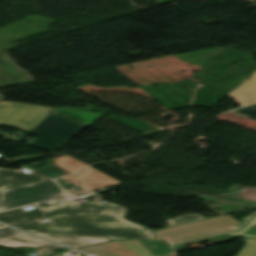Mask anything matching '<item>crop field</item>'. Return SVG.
I'll return each instance as SVG.
<instances>
[{
    "label": "crop field",
    "instance_id": "34b2d1b8",
    "mask_svg": "<svg viewBox=\"0 0 256 256\" xmlns=\"http://www.w3.org/2000/svg\"><path fill=\"white\" fill-rule=\"evenodd\" d=\"M99 256H161L173 253L167 241L122 240L78 249Z\"/></svg>",
    "mask_w": 256,
    "mask_h": 256
},
{
    "label": "crop field",
    "instance_id": "92a150f3",
    "mask_svg": "<svg viewBox=\"0 0 256 256\" xmlns=\"http://www.w3.org/2000/svg\"><path fill=\"white\" fill-rule=\"evenodd\" d=\"M170 1H174V0H157L158 5L170 2Z\"/></svg>",
    "mask_w": 256,
    "mask_h": 256
},
{
    "label": "crop field",
    "instance_id": "214f88e0",
    "mask_svg": "<svg viewBox=\"0 0 256 256\" xmlns=\"http://www.w3.org/2000/svg\"><path fill=\"white\" fill-rule=\"evenodd\" d=\"M43 162L46 163L47 166L53 163L52 159L46 160V161H43ZM26 167H28V168H30V169H33V170H36V169H37V168H34V167H30V166H26ZM42 168H43V167H42ZM39 169H40V168H39Z\"/></svg>",
    "mask_w": 256,
    "mask_h": 256
},
{
    "label": "crop field",
    "instance_id": "3316defc",
    "mask_svg": "<svg viewBox=\"0 0 256 256\" xmlns=\"http://www.w3.org/2000/svg\"><path fill=\"white\" fill-rule=\"evenodd\" d=\"M37 235L53 240L55 242L61 243L68 247L75 248V249L105 242V241H110L105 237L66 236V235L47 234V233H37Z\"/></svg>",
    "mask_w": 256,
    "mask_h": 256
},
{
    "label": "crop field",
    "instance_id": "e52e79f7",
    "mask_svg": "<svg viewBox=\"0 0 256 256\" xmlns=\"http://www.w3.org/2000/svg\"><path fill=\"white\" fill-rule=\"evenodd\" d=\"M62 178L70 179L72 181L80 180L82 182L79 186H66L63 187L66 189L71 195L92 191L99 188L120 184V182L92 169L91 167L88 168L86 171L81 173L80 175L75 176H64ZM75 187V188H73Z\"/></svg>",
    "mask_w": 256,
    "mask_h": 256
},
{
    "label": "crop field",
    "instance_id": "412701ff",
    "mask_svg": "<svg viewBox=\"0 0 256 256\" xmlns=\"http://www.w3.org/2000/svg\"><path fill=\"white\" fill-rule=\"evenodd\" d=\"M66 195L54 181L46 180L14 189L2 191L0 210L36 203L42 200Z\"/></svg>",
    "mask_w": 256,
    "mask_h": 256
},
{
    "label": "crop field",
    "instance_id": "dafd665d",
    "mask_svg": "<svg viewBox=\"0 0 256 256\" xmlns=\"http://www.w3.org/2000/svg\"><path fill=\"white\" fill-rule=\"evenodd\" d=\"M93 195L95 196V198L97 199L98 202H102L98 195H95V194H93Z\"/></svg>",
    "mask_w": 256,
    "mask_h": 256
},
{
    "label": "crop field",
    "instance_id": "733c2abd",
    "mask_svg": "<svg viewBox=\"0 0 256 256\" xmlns=\"http://www.w3.org/2000/svg\"><path fill=\"white\" fill-rule=\"evenodd\" d=\"M237 256H256V240L246 239V245Z\"/></svg>",
    "mask_w": 256,
    "mask_h": 256
},
{
    "label": "crop field",
    "instance_id": "22f410ed",
    "mask_svg": "<svg viewBox=\"0 0 256 256\" xmlns=\"http://www.w3.org/2000/svg\"><path fill=\"white\" fill-rule=\"evenodd\" d=\"M44 218L40 209H32L24 211L22 208L0 213V221L8 224L19 221Z\"/></svg>",
    "mask_w": 256,
    "mask_h": 256
},
{
    "label": "crop field",
    "instance_id": "bc2a9ffb",
    "mask_svg": "<svg viewBox=\"0 0 256 256\" xmlns=\"http://www.w3.org/2000/svg\"><path fill=\"white\" fill-rule=\"evenodd\" d=\"M66 179H62V178H58V179H56V182L60 185V186H66V185H72L73 183H75V182H72V183H66Z\"/></svg>",
    "mask_w": 256,
    "mask_h": 256
},
{
    "label": "crop field",
    "instance_id": "cbeb9de0",
    "mask_svg": "<svg viewBox=\"0 0 256 256\" xmlns=\"http://www.w3.org/2000/svg\"><path fill=\"white\" fill-rule=\"evenodd\" d=\"M229 235L241 238L256 239V214L239 230Z\"/></svg>",
    "mask_w": 256,
    "mask_h": 256
},
{
    "label": "crop field",
    "instance_id": "dd49c442",
    "mask_svg": "<svg viewBox=\"0 0 256 256\" xmlns=\"http://www.w3.org/2000/svg\"><path fill=\"white\" fill-rule=\"evenodd\" d=\"M54 109L5 101L0 103V126L6 124L31 131Z\"/></svg>",
    "mask_w": 256,
    "mask_h": 256
},
{
    "label": "crop field",
    "instance_id": "ac0d7876",
    "mask_svg": "<svg viewBox=\"0 0 256 256\" xmlns=\"http://www.w3.org/2000/svg\"><path fill=\"white\" fill-rule=\"evenodd\" d=\"M239 223L229 214L212 217L154 232L155 240H167L169 245L232 231Z\"/></svg>",
    "mask_w": 256,
    "mask_h": 256
},
{
    "label": "crop field",
    "instance_id": "4a817a6b",
    "mask_svg": "<svg viewBox=\"0 0 256 256\" xmlns=\"http://www.w3.org/2000/svg\"><path fill=\"white\" fill-rule=\"evenodd\" d=\"M231 113L238 114V115L256 120V105L246 107L243 109H239V110H235Z\"/></svg>",
    "mask_w": 256,
    "mask_h": 256
},
{
    "label": "crop field",
    "instance_id": "d8731c3e",
    "mask_svg": "<svg viewBox=\"0 0 256 256\" xmlns=\"http://www.w3.org/2000/svg\"><path fill=\"white\" fill-rule=\"evenodd\" d=\"M0 245L18 247V246H53L54 244L24 234L17 230L11 229L6 226L0 227Z\"/></svg>",
    "mask_w": 256,
    "mask_h": 256
},
{
    "label": "crop field",
    "instance_id": "00972430",
    "mask_svg": "<svg viewBox=\"0 0 256 256\" xmlns=\"http://www.w3.org/2000/svg\"><path fill=\"white\" fill-rule=\"evenodd\" d=\"M53 207H56V206H53ZM53 207H49V208H53ZM44 209H48V208H41V210H44ZM46 218V217H45Z\"/></svg>",
    "mask_w": 256,
    "mask_h": 256
},
{
    "label": "crop field",
    "instance_id": "5142ce71",
    "mask_svg": "<svg viewBox=\"0 0 256 256\" xmlns=\"http://www.w3.org/2000/svg\"><path fill=\"white\" fill-rule=\"evenodd\" d=\"M218 119L226 120V121H229V122H232V123H235V124H238V125L245 126V127L256 130V121L251 120V119H247V118H244V117H241V116H237V115L232 114V115H230L226 118L219 117Z\"/></svg>",
    "mask_w": 256,
    "mask_h": 256
},
{
    "label": "crop field",
    "instance_id": "28ad6ade",
    "mask_svg": "<svg viewBox=\"0 0 256 256\" xmlns=\"http://www.w3.org/2000/svg\"><path fill=\"white\" fill-rule=\"evenodd\" d=\"M9 177H12V179H9ZM39 180H44V178L36 174H26L22 171L0 168V189Z\"/></svg>",
    "mask_w": 256,
    "mask_h": 256
},
{
    "label": "crop field",
    "instance_id": "5a996713",
    "mask_svg": "<svg viewBox=\"0 0 256 256\" xmlns=\"http://www.w3.org/2000/svg\"><path fill=\"white\" fill-rule=\"evenodd\" d=\"M54 160L56 165L38 170L36 172L54 179L65 174L78 173L88 166L87 164L69 155L58 157Z\"/></svg>",
    "mask_w": 256,
    "mask_h": 256
},
{
    "label": "crop field",
    "instance_id": "f4fd0767",
    "mask_svg": "<svg viewBox=\"0 0 256 256\" xmlns=\"http://www.w3.org/2000/svg\"><path fill=\"white\" fill-rule=\"evenodd\" d=\"M85 127L50 114L30 132V134L39 136L30 145L54 152L62 141Z\"/></svg>",
    "mask_w": 256,
    "mask_h": 256
},
{
    "label": "crop field",
    "instance_id": "8a807250",
    "mask_svg": "<svg viewBox=\"0 0 256 256\" xmlns=\"http://www.w3.org/2000/svg\"><path fill=\"white\" fill-rule=\"evenodd\" d=\"M49 221L39 220L9 224L31 233L105 236L117 239H151L153 231L125 220L127 208L114 203L74 204L64 200L57 208L43 211Z\"/></svg>",
    "mask_w": 256,
    "mask_h": 256
},
{
    "label": "crop field",
    "instance_id": "d9b57169",
    "mask_svg": "<svg viewBox=\"0 0 256 256\" xmlns=\"http://www.w3.org/2000/svg\"><path fill=\"white\" fill-rule=\"evenodd\" d=\"M200 219H204V217L201 215H185V216L167 220V222L169 224L168 227H170V226L180 225V224H184V223H188V222H192Z\"/></svg>",
    "mask_w": 256,
    "mask_h": 256
},
{
    "label": "crop field",
    "instance_id": "d1516ede",
    "mask_svg": "<svg viewBox=\"0 0 256 256\" xmlns=\"http://www.w3.org/2000/svg\"><path fill=\"white\" fill-rule=\"evenodd\" d=\"M243 106L256 102V75L230 94Z\"/></svg>",
    "mask_w": 256,
    "mask_h": 256
}]
</instances>
